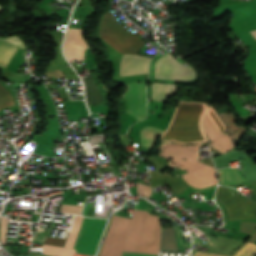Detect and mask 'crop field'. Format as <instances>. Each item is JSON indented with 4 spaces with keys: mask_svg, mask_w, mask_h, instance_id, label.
<instances>
[{
    "mask_svg": "<svg viewBox=\"0 0 256 256\" xmlns=\"http://www.w3.org/2000/svg\"><path fill=\"white\" fill-rule=\"evenodd\" d=\"M206 105L180 101L169 127L162 134L161 154L171 166L188 173L184 180L197 188L217 183L215 169L197 161V147L207 141L201 126Z\"/></svg>",
    "mask_w": 256,
    "mask_h": 256,
    "instance_id": "obj_1",
    "label": "crop field"
},
{
    "mask_svg": "<svg viewBox=\"0 0 256 256\" xmlns=\"http://www.w3.org/2000/svg\"><path fill=\"white\" fill-rule=\"evenodd\" d=\"M159 236V218L134 210L123 251L158 254Z\"/></svg>",
    "mask_w": 256,
    "mask_h": 256,
    "instance_id": "obj_2",
    "label": "crop field"
},
{
    "mask_svg": "<svg viewBox=\"0 0 256 256\" xmlns=\"http://www.w3.org/2000/svg\"><path fill=\"white\" fill-rule=\"evenodd\" d=\"M127 30L108 11L102 18L99 37L121 54H137L144 42Z\"/></svg>",
    "mask_w": 256,
    "mask_h": 256,
    "instance_id": "obj_3",
    "label": "crop field"
},
{
    "mask_svg": "<svg viewBox=\"0 0 256 256\" xmlns=\"http://www.w3.org/2000/svg\"><path fill=\"white\" fill-rule=\"evenodd\" d=\"M216 199L225 206L229 220L256 219V203L235 194L231 189L219 187Z\"/></svg>",
    "mask_w": 256,
    "mask_h": 256,
    "instance_id": "obj_4",
    "label": "crop field"
},
{
    "mask_svg": "<svg viewBox=\"0 0 256 256\" xmlns=\"http://www.w3.org/2000/svg\"><path fill=\"white\" fill-rule=\"evenodd\" d=\"M105 220L84 218L73 248L82 254H94Z\"/></svg>",
    "mask_w": 256,
    "mask_h": 256,
    "instance_id": "obj_5",
    "label": "crop field"
},
{
    "mask_svg": "<svg viewBox=\"0 0 256 256\" xmlns=\"http://www.w3.org/2000/svg\"><path fill=\"white\" fill-rule=\"evenodd\" d=\"M130 220L113 216L100 256H120Z\"/></svg>",
    "mask_w": 256,
    "mask_h": 256,
    "instance_id": "obj_6",
    "label": "crop field"
},
{
    "mask_svg": "<svg viewBox=\"0 0 256 256\" xmlns=\"http://www.w3.org/2000/svg\"><path fill=\"white\" fill-rule=\"evenodd\" d=\"M196 77L194 70L181 65L169 53L159 58L155 64V78L188 81Z\"/></svg>",
    "mask_w": 256,
    "mask_h": 256,
    "instance_id": "obj_7",
    "label": "crop field"
},
{
    "mask_svg": "<svg viewBox=\"0 0 256 256\" xmlns=\"http://www.w3.org/2000/svg\"><path fill=\"white\" fill-rule=\"evenodd\" d=\"M203 128L216 150L224 153L232 148V142L223 133L225 126L211 107H208V112L203 119Z\"/></svg>",
    "mask_w": 256,
    "mask_h": 256,
    "instance_id": "obj_8",
    "label": "crop field"
},
{
    "mask_svg": "<svg viewBox=\"0 0 256 256\" xmlns=\"http://www.w3.org/2000/svg\"><path fill=\"white\" fill-rule=\"evenodd\" d=\"M147 81L128 83V91L122 96L127 102L126 113L132 114L138 121L146 115L145 85Z\"/></svg>",
    "mask_w": 256,
    "mask_h": 256,
    "instance_id": "obj_9",
    "label": "crop field"
},
{
    "mask_svg": "<svg viewBox=\"0 0 256 256\" xmlns=\"http://www.w3.org/2000/svg\"><path fill=\"white\" fill-rule=\"evenodd\" d=\"M84 48H87L82 36V29L69 28L64 41V53L69 62L84 59Z\"/></svg>",
    "mask_w": 256,
    "mask_h": 256,
    "instance_id": "obj_10",
    "label": "crop field"
},
{
    "mask_svg": "<svg viewBox=\"0 0 256 256\" xmlns=\"http://www.w3.org/2000/svg\"><path fill=\"white\" fill-rule=\"evenodd\" d=\"M150 58L139 55H122L120 76L148 73Z\"/></svg>",
    "mask_w": 256,
    "mask_h": 256,
    "instance_id": "obj_11",
    "label": "crop field"
},
{
    "mask_svg": "<svg viewBox=\"0 0 256 256\" xmlns=\"http://www.w3.org/2000/svg\"><path fill=\"white\" fill-rule=\"evenodd\" d=\"M256 255V244L246 242L242 245L232 256H255ZM192 256H229L211 252H202L192 250Z\"/></svg>",
    "mask_w": 256,
    "mask_h": 256,
    "instance_id": "obj_12",
    "label": "crop field"
},
{
    "mask_svg": "<svg viewBox=\"0 0 256 256\" xmlns=\"http://www.w3.org/2000/svg\"><path fill=\"white\" fill-rule=\"evenodd\" d=\"M159 251L177 252L173 227L162 228Z\"/></svg>",
    "mask_w": 256,
    "mask_h": 256,
    "instance_id": "obj_13",
    "label": "crop field"
},
{
    "mask_svg": "<svg viewBox=\"0 0 256 256\" xmlns=\"http://www.w3.org/2000/svg\"><path fill=\"white\" fill-rule=\"evenodd\" d=\"M221 181L229 186L245 182L237 169L223 168L219 169Z\"/></svg>",
    "mask_w": 256,
    "mask_h": 256,
    "instance_id": "obj_14",
    "label": "crop field"
},
{
    "mask_svg": "<svg viewBox=\"0 0 256 256\" xmlns=\"http://www.w3.org/2000/svg\"><path fill=\"white\" fill-rule=\"evenodd\" d=\"M175 87L176 85L154 83L151 99L154 101L163 100L175 91Z\"/></svg>",
    "mask_w": 256,
    "mask_h": 256,
    "instance_id": "obj_15",
    "label": "crop field"
},
{
    "mask_svg": "<svg viewBox=\"0 0 256 256\" xmlns=\"http://www.w3.org/2000/svg\"><path fill=\"white\" fill-rule=\"evenodd\" d=\"M85 87H86V92H87V102L88 104H95V103H100L104 99L101 96L100 92L98 91L94 81L92 78H85L82 79Z\"/></svg>",
    "mask_w": 256,
    "mask_h": 256,
    "instance_id": "obj_16",
    "label": "crop field"
},
{
    "mask_svg": "<svg viewBox=\"0 0 256 256\" xmlns=\"http://www.w3.org/2000/svg\"><path fill=\"white\" fill-rule=\"evenodd\" d=\"M17 50L13 45L0 42V68L6 69Z\"/></svg>",
    "mask_w": 256,
    "mask_h": 256,
    "instance_id": "obj_17",
    "label": "crop field"
},
{
    "mask_svg": "<svg viewBox=\"0 0 256 256\" xmlns=\"http://www.w3.org/2000/svg\"><path fill=\"white\" fill-rule=\"evenodd\" d=\"M163 130L146 126L141 131V143L149 148L152 147L157 135H161Z\"/></svg>",
    "mask_w": 256,
    "mask_h": 256,
    "instance_id": "obj_18",
    "label": "crop field"
},
{
    "mask_svg": "<svg viewBox=\"0 0 256 256\" xmlns=\"http://www.w3.org/2000/svg\"><path fill=\"white\" fill-rule=\"evenodd\" d=\"M41 249L44 254L57 255V256H73L75 253V251L71 249L46 246V245H42Z\"/></svg>",
    "mask_w": 256,
    "mask_h": 256,
    "instance_id": "obj_19",
    "label": "crop field"
},
{
    "mask_svg": "<svg viewBox=\"0 0 256 256\" xmlns=\"http://www.w3.org/2000/svg\"><path fill=\"white\" fill-rule=\"evenodd\" d=\"M82 218L83 217H81V216H76L75 217L74 223L72 225V228L70 230V233L68 235L67 241H66L64 246L70 247V248L73 247V244H74V241H75V238H76V235H77L80 223L82 221Z\"/></svg>",
    "mask_w": 256,
    "mask_h": 256,
    "instance_id": "obj_20",
    "label": "crop field"
},
{
    "mask_svg": "<svg viewBox=\"0 0 256 256\" xmlns=\"http://www.w3.org/2000/svg\"><path fill=\"white\" fill-rule=\"evenodd\" d=\"M7 106H15L10 93L0 85V109Z\"/></svg>",
    "mask_w": 256,
    "mask_h": 256,
    "instance_id": "obj_21",
    "label": "crop field"
},
{
    "mask_svg": "<svg viewBox=\"0 0 256 256\" xmlns=\"http://www.w3.org/2000/svg\"><path fill=\"white\" fill-rule=\"evenodd\" d=\"M8 218L0 217V243H5Z\"/></svg>",
    "mask_w": 256,
    "mask_h": 256,
    "instance_id": "obj_22",
    "label": "crop field"
},
{
    "mask_svg": "<svg viewBox=\"0 0 256 256\" xmlns=\"http://www.w3.org/2000/svg\"><path fill=\"white\" fill-rule=\"evenodd\" d=\"M82 206L62 204L60 212L80 214Z\"/></svg>",
    "mask_w": 256,
    "mask_h": 256,
    "instance_id": "obj_23",
    "label": "crop field"
},
{
    "mask_svg": "<svg viewBox=\"0 0 256 256\" xmlns=\"http://www.w3.org/2000/svg\"><path fill=\"white\" fill-rule=\"evenodd\" d=\"M0 41L8 42L17 45L22 50L25 48L23 43L21 42L19 36H12V37H6V38H0Z\"/></svg>",
    "mask_w": 256,
    "mask_h": 256,
    "instance_id": "obj_24",
    "label": "crop field"
},
{
    "mask_svg": "<svg viewBox=\"0 0 256 256\" xmlns=\"http://www.w3.org/2000/svg\"><path fill=\"white\" fill-rule=\"evenodd\" d=\"M136 189H137V194L145 196L147 198L151 193V189H150L149 186H146V185H143V184H140V183L136 184Z\"/></svg>",
    "mask_w": 256,
    "mask_h": 256,
    "instance_id": "obj_25",
    "label": "crop field"
},
{
    "mask_svg": "<svg viewBox=\"0 0 256 256\" xmlns=\"http://www.w3.org/2000/svg\"><path fill=\"white\" fill-rule=\"evenodd\" d=\"M44 243L63 246L65 243V240L47 237V239L44 241Z\"/></svg>",
    "mask_w": 256,
    "mask_h": 256,
    "instance_id": "obj_26",
    "label": "crop field"
},
{
    "mask_svg": "<svg viewBox=\"0 0 256 256\" xmlns=\"http://www.w3.org/2000/svg\"><path fill=\"white\" fill-rule=\"evenodd\" d=\"M122 256H158V255H146V254L123 252Z\"/></svg>",
    "mask_w": 256,
    "mask_h": 256,
    "instance_id": "obj_27",
    "label": "crop field"
},
{
    "mask_svg": "<svg viewBox=\"0 0 256 256\" xmlns=\"http://www.w3.org/2000/svg\"><path fill=\"white\" fill-rule=\"evenodd\" d=\"M251 185H252V188H253V190H254V192L256 194V182H252Z\"/></svg>",
    "mask_w": 256,
    "mask_h": 256,
    "instance_id": "obj_28",
    "label": "crop field"
},
{
    "mask_svg": "<svg viewBox=\"0 0 256 256\" xmlns=\"http://www.w3.org/2000/svg\"><path fill=\"white\" fill-rule=\"evenodd\" d=\"M251 34L256 38V31L251 32Z\"/></svg>",
    "mask_w": 256,
    "mask_h": 256,
    "instance_id": "obj_29",
    "label": "crop field"
},
{
    "mask_svg": "<svg viewBox=\"0 0 256 256\" xmlns=\"http://www.w3.org/2000/svg\"><path fill=\"white\" fill-rule=\"evenodd\" d=\"M3 9H4V8L0 7V12H2V11H3Z\"/></svg>",
    "mask_w": 256,
    "mask_h": 256,
    "instance_id": "obj_30",
    "label": "crop field"
},
{
    "mask_svg": "<svg viewBox=\"0 0 256 256\" xmlns=\"http://www.w3.org/2000/svg\"><path fill=\"white\" fill-rule=\"evenodd\" d=\"M142 147V146H141ZM144 148H146V147H144ZM146 149H148V148H146Z\"/></svg>",
    "mask_w": 256,
    "mask_h": 256,
    "instance_id": "obj_31",
    "label": "crop field"
}]
</instances>
